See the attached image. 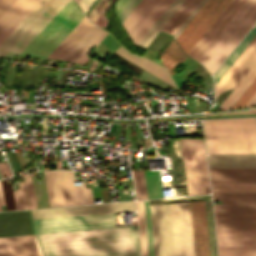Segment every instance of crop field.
<instances>
[{"instance_id":"crop-field-54","label":"crop field","mask_w":256,"mask_h":256,"mask_svg":"<svg viewBox=\"0 0 256 256\" xmlns=\"http://www.w3.org/2000/svg\"><path fill=\"white\" fill-rule=\"evenodd\" d=\"M255 105H256V92H255V94L250 98V100L245 104L244 107L255 106Z\"/></svg>"},{"instance_id":"crop-field-5","label":"crop field","mask_w":256,"mask_h":256,"mask_svg":"<svg viewBox=\"0 0 256 256\" xmlns=\"http://www.w3.org/2000/svg\"><path fill=\"white\" fill-rule=\"evenodd\" d=\"M219 154H256L254 118L214 120Z\"/></svg>"},{"instance_id":"crop-field-20","label":"crop field","mask_w":256,"mask_h":256,"mask_svg":"<svg viewBox=\"0 0 256 256\" xmlns=\"http://www.w3.org/2000/svg\"><path fill=\"white\" fill-rule=\"evenodd\" d=\"M92 25L85 16L48 58L61 59Z\"/></svg>"},{"instance_id":"crop-field-32","label":"crop field","mask_w":256,"mask_h":256,"mask_svg":"<svg viewBox=\"0 0 256 256\" xmlns=\"http://www.w3.org/2000/svg\"><path fill=\"white\" fill-rule=\"evenodd\" d=\"M40 0H30L21 11L0 32V43L11 33V31L25 18V16L38 4Z\"/></svg>"},{"instance_id":"crop-field-9","label":"crop field","mask_w":256,"mask_h":256,"mask_svg":"<svg viewBox=\"0 0 256 256\" xmlns=\"http://www.w3.org/2000/svg\"><path fill=\"white\" fill-rule=\"evenodd\" d=\"M172 0H141L122 23L137 44Z\"/></svg>"},{"instance_id":"crop-field-6","label":"crop field","mask_w":256,"mask_h":256,"mask_svg":"<svg viewBox=\"0 0 256 256\" xmlns=\"http://www.w3.org/2000/svg\"><path fill=\"white\" fill-rule=\"evenodd\" d=\"M51 207L93 203L90 188L72 187L73 172H44Z\"/></svg>"},{"instance_id":"crop-field-27","label":"crop field","mask_w":256,"mask_h":256,"mask_svg":"<svg viewBox=\"0 0 256 256\" xmlns=\"http://www.w3.org/2000/svg\"><path fill=\"white\" fill-rule=\"evenodd\" d=\"M256 61V46L252 51L247 55V57L242 61L238 68L233 72V74L228 78V80L223 84V86L218 90L215 97L219 93L226 91L228 89L234 88L240 79L245 75L249 68Z\"/></svg>"},{"instance_id":"crop-field-36","label":"crop field","mask_w":256,"mask_h":256,"mask_svg":"<svg viewBox=\"0 0 256 256\" xmlns=\"http://www.w3.org/2000/svg\"><path fill=\"white\" fill-rule=\"evenodd\" d=\"M133 178L137 198H148L143 171H133Z\"/></svg>"},{"instance_id":"crop-field-4","label":"crop field","mask_w":256,"mask_h":256,"mask_svg":"<svg viewBox=\"0 0 256 256\" xmlns=\"http://www.w3.org/2000/svg\"><path fill=\"white\" fill-rule=\"evenodd\" d=\"M216 229H256V194H213Z\"/></svg>"},{"instance_id":"crop-field-15","label":"crop field","mask_w":256,"mask_h":256,"mask_svg":"<svg viewBox=\"0 0 256 256\" xmlns=\"http://www.w3.org/2000/svg\"><path fill=\"white\" fill-rule=\"evenodd\" d=\"M245 0H231L226 8L221 12L217 19L207 29L203 36L198 40L194 47L189 51L188 55L194 59L203 53L207 46L217 36L221 29L226 25L230 18L235 14Z\"/></svg>"},{"instance_id":"crop-field-18","label":"crop field","mask_w":256,"mask_h":256,"mask_svg":"<svg viewBox=\"0 0 256 256\" xmlns=\"http://www.w3.org/2000/svg\"><path fill=\"white\" fill-rule=\"evenodd\" d=\"M0 256H40L33 235L0 238Z\"/></svg>"},{"instance_id":"crop-field-19","label":"crop field","mask_w":256,"mask_h":256,"mask_svg":"<svg viewBox=\"0 0 256 256\" xmlns=\"http://www.w3.org/2000/svg\"><path fill=\"white\" fill-rule=\"evenodd\" d=\"M211 182H256V169L209 168Z\"/></svg>"},{"instance_id":"crop-field-12","label":"crop field","mask_w":256,"mask_h":256,"mask_svg":"<svg viewBox=\"0 0 256 256\" xmlns=\"http://www.w3.org/2000/svg\"><path fill=\"white\" fill-rule=\"evenodd\" d=\"M155 256H174L169 204L150 205Z\"/></svg>"},{"instance_id":"crop-field-48","label":"crop field","mask_w":256,"mask_h":256,"mask_svg":"<svg viewBox=\"0 0 256 256\" xmlns=\"http://www.w3.org/2000/svg\"><path fill=\"white\" fill-rule=\"evenodd\" d=\"M15 0H0V16Z\"/></svg>"},{"instance_id":"crop-field-44","label":"crop field","mask_w":256,"mask_h":256,"mask_svg":"<svg viewBox=\"0 0 256 256\" xmlns=\"http://www.w3.org/2000/svg\"><path fill=\"white\" fill-rule=\"evenodd\" d=\"M139 1L140 0H131V2L126 6V8L121 12V14L118 16L121 23L128 16V14L132 11V9L136 6V4Z\"/></svg>"},{"instance_id":"crop-field-39","label":"crop field","mask_w":256,"mask_h":256,"mask_svg":"<svg viewBox=\"0 0 256 256\" xmlns=\"http://www.w3.org/2000/svg\"><path fill=\"white\" fill-rule=\"evenodd\" d=\"M255 91H256V78L250 84V86L245 90V92L241 95V97L237 100V102L232 106L231 109L243 107L244 104L249 100V98L254 94Z\"/></svg>"},{"instance_id":"crop-field-57","label":"crop field","mask_w":256,"mask_h":256,"mask_svg":"<svg viewBox=\"0 0 256 256\" xmlns=\"http://www.w3.org/2000/svg\"><path fill=\"white\" fill-rule=\"evenodd\" d=\"M0 211H1V209H0Z\"/></svg>"},{"instance_id":"crop-field-26","label":"crop field","mask_w":256,"mask_h":256,"mask_svg":"<svg viewBox=\"0 0 256 256\" xmlns=\"http://www.w3.org/2000/svg\"><path fill=\"white\" fill-rule=\"evenodd\" d=\"M200 1L201 0H185L161 31L173 35Z\"/></svg>"},{"instance_id":"crop-field-46","label":"crop field","mask_w":256,"mask_h":256,"mask_svg":"<svg viewBox=\"0 0 256 256\" xmlns=\"http://www.w3.org/2000/svg\"><path fill=\"white\" fill-rule=\"evenodd\" d=\"M140 206H141L142 227H143V235H144V243H145V254H146V256H148V248H147V238H146V227H145V216H144L143 201H140Z\"/></svg>"},{"instance_id":"crop-field-49","label":"crop field","mask_w":256,"mask_h":256,"mask_svg":"<svg viewBox=\"0 0 256 256\" xmlns=\"http://www.w3.org/2000/svg\"><path fill=\"white\" fill-rule=\"evenodd\" d=\"M0 172L3 178L4 175H6V177L11 176V172L6 162L0 163Z\"/></svg>"},{"instance_id":"crop-field-24","label":"crop field","mask_w":256,"mask_h":256,"mask_svg":"<svg viewBox=\"0 0 256 256\" xmlns=\"http://www.w3.org/2000/svg\"><path fill=\"white\" fill-rule=\"evenodd\" d=\"M103 32L93 25L62 59L76 62Z\"/></svg>"},{"instance_id":"crop-field-16","label":"crop field","mask_w":256,"mask_h":256,"mask_svg":"<svg viewBox=\"0 0 256 256\" xmlns=\"http://www.w3.org/2000/svg\"><path fill=\"white\" fill-rule=\"evenodd\" d=\"M195 256H209L204 201L190 202Z\"/></svg>"},{"instance_id":"crop-field-53","label":"crop field","mask_w":256,"mask_h":256,"mask_svg":"<svg viewBox=\"0 0 256 256\" xmlns=\"http://www.w3.org/2000/svg\"><path fill=\"white\" fill-rule=\"evenodd\" d=\"M137 208H138V218H139V228H140V238H141L142 256H144V248H143V238H142V227H141V219H140L139 201H137Z\"/></svg>"},{"instance_id":"crop-field-10","label":"crop field","mask_w":256,"mask_h":256,"mask_svg":"<svg viewBox=\"0 0 256 256\" xmlns=\"http://www.w3.org/2000/svg\"><path fill=\"white\" fill-rule=\"evenodd\" d=\"M175 256H194L189 202L170 203Z\"/></svg>"},{"instance_id":"crop-field-3","label":"crop field","mask_w":256,"mask_h":256,"mask_svg":"<svg viewBox=\"0 0 256 256\" xmlns=\"http://www.w3.org/2000/svg\"><path fill=\"white\" fill-rule=\"evenodd\" d=\"M84 16L76 3L69 0L20 55L47 58Z\"/></svg>"},{"instance_id":"crop-field-21","label":"crop field","mask_w":256,"mask_h":256,"mask_svg":"<svg viewBox=\"0 0 256 256\" xmlns=\"http://www.w3.org/2000/svg\"><path fill=\"white\" fill-rule=\"evenodd\" d=\"M115 53L123 56L124 58L130 60L131 62L135 63L136 65H138L139 67L148 71L149 73L167 81L168 83H170L171 85L174 86V84H173L171 78L169 77L165 68H163V67H161L143 57L131 54L127 50L123 49L121 46L115 51Z\"/></svg>"},{"instance_id":"crop-field-14","label":"crop field","mask_w":256,"mask_h":256,"mask_svg":"<svg viewBox=\"0 0 256 256\" xmlns=\"http://www.w3.org/2000/svg\"><path fill=\"white\" fill-rule=\"evenodd\" d=\"M68 0H54L46 10L33 22V24L21 35V37L8 49L3 57L10 58L14 54H20L23 49L34 39L44 26L66 4Z\"/></svg>"},{"instance_id":"crop-field-34","label":"crop field","mask_w":256,"mask_h":256,"mask_svg":"<svg viewBox=\"0 0 256 256\" xmlns=\"http://www.w3.org/2000/svg\"><path fill=\"white\" fill-rule=\"evenodd\" d=\"M256 45V36L246 47V49L241 53V55L236 59V61L231 65L227 72L222 76V78L215 85V92L221 87V85L226 81V79L231 75V73L236 69V67L241 63V61L246 57V55L251 51V49Z\"/></svg>"},{"instance_id":"crop-field-40","label":"crop field","mask_w":256,"mask_h":256,"mask_svg":"<svg viewBox=\"0 0 256 256\" xmlns=\"http://www.w3.org/2000/svg\"><path fill=\"white\" fill-rule=\"evenodd\" d=\"M144 205H145V215H146V224H147V233H148L149 254L150 256H154L148 200L144 201Z\"/></svg>"},{"instance_id":"crop-field-8","label":"crop field","mask_w":256,"mask_h":256,"mask_svg":"<svg viewBox=\"0 0 256 256\" xmlns=\"http://www.w3.org/2000/svg\"><path fill=\"white\" fill-rule=\"evenodd\" d=\"M230 0H207L175 39L187 54Z\"/></svg>"},{"instance_id":"crop-field-28","label":"crop field","mask_w":256,"mask_h":256,"mask_svg":"<svg viewBox=\"0 0 256 256\" xmlns=\"http://www.w3.org/2000/svg\"><path fill=\"white\" fill-rule=\"evenodd\" d=\"M256 77V63L251 67L243 79L238 83V85L232 90V92L227 96L223 103L218 107L220 109H230L231 106L236 102L244 90L249 86V84Z\"/></svg>"},{"instance_id":"crop-field-43","label":"crop field","mask_w":256,"mask_h":256,"mask_svg":"<svg viewBox=\"0 0 256 256\" xmlns=\"http://www.w3.org/2000/svg\"><path fill=\"white\" fill-rule=\"evenodd\" d=\"M24 180H25L29 205L31 208H36L29 174L24 177Z\"/></svg>"},{"instance_id":"crop-field-2","label":"crop field","mask_w":256,"mask_h":256,"mask_svg":"<svg viewBox=\"0 0 256 256\" xmlns=\"http://www.w3.org/2000/svg\"><path fill=\"white\" fill-rule=\"evenodd\" d=\"M256 21V0H246L198 61L213 74Z\"/></svg>"},{"instance_id":"crop-field-58","label":"crop field","mask_w":256,"mask_h":256,"mask_svg":"<svg viewBox=\"0 0 256 256\" xmlns=\"http://www.w3.org/2000/svg\"><path fill=\"white\" fill-rule=\"evenodd\" d=\"M256 25V24H255Z\"/></svg>"},{"instance_id":"crop-field-23","label":"crop field","mask_w":256,"mask_h":256,"mask_svg":"<svg viewBox=\"0 0 256 256\" xmlns=\"http://www.w3.org/2000/svg\"><path fill=\"white\" fill-rule=\"evenodd\" d=\"M209 167L256 168V156H207Z\"/></svg>"},{"instance_id":"crop-field-50","label":"crop field","mask_w":256,"mask_h":256,"mask_svg":"<svg viewBox=\"0 0 256 256\" xmlns=\"http://www.w3.org/2000/svg\"><path fill=\"white\" fill-rule=\"evenodd\" d=\"M210 124H211V133H212L214 154H218L213 120H210Z\"/></svg>"},{"instance_id":"crop-field-45","label":"crop field","mask_w":256,"mask_h":256,"mask_svg":"<svg viewBox=\"0 0 256 256\" xmlns=\"http://www.w3.org/2000/svg\"><path fill=\"white\" fill-rule=\"evenodd\" d=\"M206 2V0H202L199 5L194 9V11L189 15V17L185 20V22L180 26V28L173 35L174 39L181 32V30L186 26V24L191 20V18L196 14V12L201 8V6Z\"/></svg>"},{"instance_id":"crop-field-17","label":"crop field","mask_w":256,"mask_h":256,"mask_svg":"<svg viewBox=\"0 0 256 256\" xmlns=\"http://www.w3.org/2000/svg\"><path fill=\"white\" fill-rule=\"evenodd\" d=\"M33 234L28 210L0 212V237Z\"/></svg>"},{"instance_id":"crop-field-33","label":"crop field","mask_w":256,"mask_h":256,"mask_svg":"<svg viewBox=\"0 0 256 256\" xmlns=\"http://www.w3.org/2000/svg\"><path fill=\"white\" fill-rule=\"evenodd\" d=\"M149 198L162 197L158 171H144Z\"/></svg>"},{"instance_id":"crop-field-11","label":"crop field","mask_w":256,"mask_h":256,"mask_svg":"<svg viewBox=\"0 0 256 256\" xmlns=\"http://www.w3.org/2000/svg\"><path fill=\"white\" fill-rule=\"evenodd\" d=\"M219 256H256V230H216Z\"/></svg>"},{"instance_id":"crop-field-31","label":"crop field","mask_w":256,"mask_h":256,"mask_svg":"<svg viewBox=\"0 0 256 256\" xmlns=\"http://www.w3.org/2000/svg\"><path fill=\"white\" fill-rule=\"evenodd\" d=\"M213 193H256V183H211Z\"/></svg>"},{"instance_id":"crop-field-41","label":"crop field","mask_w":256,"mask_h":256,"mask_svg":"<svg viewBox=\"0 0 256 256\" xmlns=\"http://www.w3.org/2000/svg\"><path fill=\"white\" fill-rule=\"evenodd\" d=\"M206 149L208 154H213L209 120L202 121Z\"/></svg>"},{"instance_id":"crop-field-47","label":"crop field","mask_w":256,"mask_h":256,"mask_svg":"<svg viewBox=\"0 0 256 256\" xmlns=\"http://www.w3.org/2000/svg\"><path fill=\"white\" fill-rule=\"evenodd\" d=\"M81 9L86 14L87 11L91 8V6L96 2V0H75Z\"/></svg>"},{"instance_id":"crop-field-25","label":"crop field","mask_w":256,"mask_h":256,"mask_svg":"<svg viewBox=\"0 0 256 256\" xmlns=\"http://www.w3.org/2000/svg\"><path fill=\"white\" fill-rule=\"evenodd\" d=\"M183 1L184 0H173L171 4L167 7V9L158 18V20L144 35V37L139 41L138 45L146 48L147 45L157 35L162 26L167 22V20L172 16V14L177 10V8L182 4Z\"/></svg>"},{"instance_id":"crop-field-51","label":"crop field","mask_w":256,"mask_h":256,"mask_svg":"<svg viewBox=\"0 0 256 256\" xmlns=\"http://www.w3.org/2000/svg\"><path fill=\"white\" fill-rule=\"evenodd\" d=\"M106 33H107V32H104V33L98 38V40L96 41L97 44H98L99 41L106 35ZM96 42H95V43H96ZM95 43H94V44H95ZM94 44H93V45H94ZM97 44H96V45H97ZM96 45H95V46H96ZM91 48H92V47H91ZM89 49H90V48H89ZM89 49L83 54V56L77 61V63L83 64V63L88 59V57L86 56V54L88 53Z\"/></svg>"},{"instance_id":"crop-field-13","label":"crop field","mask_w":256,"mask_h":256,"mask_svg":"<svg viewBox=\"0 0 256 256\" xmlns=\"http://www.w3.org/2000/svg\"><path fill=\"white\" fill-rule=\"evenodd\" d=\"M130 210H135L133 201L37 209V210H31V212H32V218L37 219V218L73 216V215L130 211Z\"/></svg>"},{"instance_id":"crop-field-52","label":"crop field","mask_w":256,"mask_h":256,"mask_svg":"<svg viewBox=\"0 0 256 256\" xmlns=\"http://www.w3.org/2000/svg\"><path fill=\"white\" fill-rule=\"evenodd\" d=\"M130 0H119L116 4L117 14L124 9V7L129 3Z\"/></svg>"},{"instance_id":"crop-field-42","label":"crop field","mask_w":256,"mask_h":256,"mask_svg":"<svg viewBox=\"0 0 256 256\" xmlns=\"http://www.w3.org/2000/svg\"><path fill=\"white\" fill-rule=\"evenodd\" d=\"M109 0H99V2L95 5V7L90 11V13L87 15L89 20L94 23V21L97 19L99 14L102 12V10L105 8L107 2Z\"/></svg>"},{"instance_id":"crop-field-29","label":"crop field","mask_w":256,"mask_h":256,"mask_svg":"<svg viewBox=\"0 0 256 256\" xmlns=\"http://www.w3.org/2000/svg\"><path fill=\"white\" fill-rule=\"evenodd\" d=\"M256 35V27H253L251 31L246 35V37L241 41V43L236 47V49L231 53V55L226 59V61L221 65V67L214 74L215 84L221 78V76L226 72L230 65L235 61V59L240 55V53L245 49L249 42Z\"/></svg>"},{"instance_id":"crop-field-1","label":"crop field","mask_w":256,"mask_h":256,"mask_svg":"<svg viewBox=\"0 0 256 256\" xmlns=\"http://www.w3.org/2000/svg\"><path fill=\"white\" fill-rule=\"evenodd\" d=\"M41 250L138 242L134 226L35 235ZM42 256H140L138 243L41 251Z\"/></svg>"},{"instance_id":"crop-field-7","label":"crop field","mask_w":256,"mask_h":256,"mask_svg":"<svg viewBox=\"0 0 256 256\" xmlns=\"http://www.w3.org/2000/svg\"><path fill=\"white\" fill-rule=\"evenodd\" d=\"M35 234L116 227L114 213L32 220Z\"/></svg>"},{"instance_id":"crop-field-22","label":"crop field","mask_w":256,"mask_h":256,"mask_svg":"<svg viewBox=\"0 0 256 256\" xmlns=\"http://www.w3.org/2000/svg\"><path fill=\"white\" fill-rule=\"evenodd\" d=\"M53 0H42L31 13L20 23V25L9 35V37L0 45V56L8 47L24 32V30L40 15V13Z\"/></svg>"},{"instance_id":"crop-field-30","label":"crop field","mask_w":256,"mask_h":256,"mask_svg":"<svg viewBox=\"0 0 256 256\" xmlns=\"http://www.w3.org/2000/svg\"><path fill=\"white\" fill-rule=\"evenodd\" d=\"M186 56L187 55L181 51V49L178 47L173 39L172 42L165 49L164 53L161 54L160 60L172 75L173 71L171 70L179 61L182 62Z\"/></svg>"},{"instance_id":"crop-field-38","label":"crop field","mask_w":256,"mask_h":256,"mask_svg":"<svg viewBox=\"0 0 256 256\" xmlns=\"http://www.w3.org/2000/svg\"><path fill=\"white\" fill-rule=\"evenodd\" d=\"M1 183L7 210H15L10 181L7 182V180L4 179L1 180Z\"/></svg>"},{"instance_id":"crop-field-56","label":"crop field","mask_w":256,"mask_h":256,"mask_svg":"<svg viewBox=\"0 0 256 256\" xmlns=\"http://www.w3.org/2000/svg\"><path fill=\"white\" fill-rule=\"evenodd\" d=\"M255 121H256V118H255Z\"/></svg>"},{"instance_id":"crop-field-37","label":"crop field","mask_w":256,"mask_h":256,"mask_svg":"<svg viewBox=\"0 0 256 256\" xmlns=\"http://www.w3.org/2000/svg\"><path fill=\"white\" fill-rule=\"evenodd\" d=\"M19 186L20 189L13 192L16 210L28 209L23 182Z\"/></svg>"},{"instance_id":"crop-field-55","label":"crop field","mask_w":256,"mask_h":256,"mask_svg":"<svg viewBox=\"0 0 256 256\" xmlns=\"http://www.w3.org/2000/svg\"><path fill=\"white\" fill-rule=\"evenodd\" d=\"M0 203H1V205H5L4 198H3V193H2V188H1V183H0Z\"/></svg>"},{"instance_id":"crop-field-35","label":"crop field","mask_w":256,"mask_h":256,"mask_svg":"<svg viewBox=\"0 0 256 256\" xmlns=\"http://www.w3.org/2000/svg\"><path fill=\"white\" fill-rule=\"evenodd\" d=\"M29 0H16L0 17V31L9 23V21L20 11V9Z\"/></svg>"}]
</instances>
